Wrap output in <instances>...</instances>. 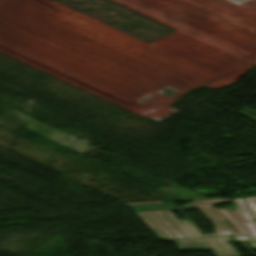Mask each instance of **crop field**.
Instances as JSON below:
<instances>
[{
	"label": "crop field",
	"instance_id": "crop-field-1",
	"mask_svg": "<svg viewBox=\"0 0 256 256\" xmlns=\"http://www.w3.org/2000/svg\"><path fill=\"white\" fill-rule=\"evenodd\" d=\"M143 222L161 239L178 243L180 250L210 249L203 239L177 240L173 234L186 238L202 237L187 221H179L170 210L177 209L174 203L130 206ZM167 227L169 230H164Z\"/></svg>",
	"mask_w": 256,
	"mask_h": 256
},
{
	"label": "crop field",
	"instance_id": "crop-field-2",
	"mask_svg": "<svg viewBox=\"0 0 256 256\" xmlns=\"http://www.w3.org/2000/svg\"><path fill=\"white\" fill-rule=\"evenodd\" d=\"M238 208L237 211L228 209L202 208V212L215 224V232L218 235L225 234L230 231L233 235L246 234V236L236 237L237 241L248 240L253 248L256 249V225L243 201V199H235ZM227 218L235 228H229L222 220Z\"/></svg>",
	"mask_w": 256,
	"mask_h": 256
},
{
	"label": "crop field",
	"instance_id": "crop-field-3",
	"mask_svg": "<svg viewBox=\"0 0 256 256\" xmlns=\"http://www.w3.org/2000/svg\"><path fill=\"white\" fill-rule=\"evenodd\" d=\"M207 241L220 256H239L235 249L227 242L229 237L208 238Z\"/></svg>",
	"mask_w": 256,
	"mask_h": 256
},
{
	"label": "crop field",
	"instance_id": "crop-field-4",
	"mask_svg": "<svg viewBox=\"0 0 256 256\" xmlns=\"http://www.w3.org/2000/svg\"><path fill=\"white\" fill-rule=\"evenodd\" d=\"M232 202V199H217V200H203V201H195L194 205L185 206L184 209L191 208H202V207H211V205H217L219 203Z\"/></svg>",
	"mask_w": 256,
	"mask_h": 256
},
{
	"label": "crop field",
	"instance_id": "crop-field-5",
	"mask_svg": "<svg viewBox=\"0 0 256 256\" xmlns=\"http://www.w3.org/2000/svg\"><path fill=\"white\" fill-rule=\"evenodd\" d=\"M255 219H256V197H252V198H245Z\"/></svg>",
	"mask_w": 256,
	"mask_h": 256
}]
</instances>
